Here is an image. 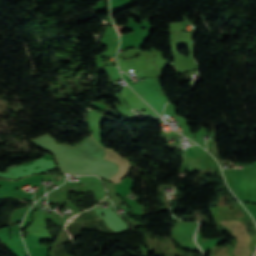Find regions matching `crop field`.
<instances>
[{"mask_svg": "<svg viewBox=\"0 0 256 256\" xmlns=\"http://www.w3.org/2000/svg\"><path fill=\"white\" fill-rule=\"evenodd\" d=\"M106 150H107V156L105 160L116 163L120 168V171L116 175H114L112 178H110V180L116 182L126 175L129 165L123 158H121L113 150H108V149Z\"/></svg>", "mask_w": 256, "mask_h": 256, "instance_id": "8a807250", "label": "crop field"}]
</instances>
